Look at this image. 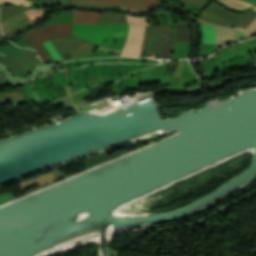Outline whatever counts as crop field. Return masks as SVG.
I'll use <instances>...</instances> for the list:
<instances>
[{
  "mask_svg": "<svg viewBox=\"0 0 256 256\" xmlns=\"http://www.w3.org/2000/svg\"><path fill=\"white\" fill-rule=\"evenodd\" d=\"M26 7L2 6L0 7V22L21 12L27 10Z\"/></svg>",
  "mask_w": 256,
  "mask_h": 256,
  "instance_id": "obj_13",
  "label": "crop field"
},
{
  "mask_svg": "<svg viewBox=\"0 0 256 256\" xmlns=\"http://www.w3.org/2000/svg\"><path fill=\"white\" fill-rule=\"evenodd\" d=\"M165 31H166L167 42H163L162 44L160 57H171L174 41H171L170 26H166ZM165 59H171V58H165Z\"/></svg>",
  "mask_w": 256,
  "mask_h": 256,
  "instance_id": "obj_12",
  "label": "crop field"
},
{
  "mask_svg": "<svg viewBox=\"0 0 256 256\" xmlns=\"http://www.w3.org/2000/svg\"><path fill=\"white\" fill-rule=\"evenodd\" d=\"M0 99L2 100L3 103H6V102L24 100L25 98L20 91H15V92L0 94Z\"/></svg>",
  "mask_w": 256,
  "mask_h": 256,
  "instance_id": "obj_17",
  "label": "crop field"
},
{
  "mask_svg": "<svg viewBox=\"0 0 256 256\" xmlns=\"http://www.w3.org/2000/svg\"><path fill=\"white\" fill-rule=\"evenodd\" d=\"M34 52V50L26 49L22 51L21 53L17 54L15 57H13L24 70H27L31 67H34L36 65L42 64L40 62L39 58L34 59L30 53Z\"/></svg>",
  "mask_w": 256,
  "mask_h": 256,
  "instance_id": "obj_9",
  "label": "crop field"
},
{
  "mask_svg": "<svg viewBox=\"0 0 256 256\" xmlns=\"http://www.w3.org/2000/svg\"><path fill=\"white\" fill-rule=\"evenodd\" d=\"M96 48L97 47H95L85 41L84 43H82L80 46H78L76 49H74L73 51H71L68 54H70L72 57L76 58V57L85 55L87 53L93 52V51H95Z\"/></svg>",
  "mask_w": 256,
  "mask_h": 256,
  "instance_id": "obj_14",
  "label": "crop field"
},
{
  "mask_svg": "<svg viewBox=\"0 0 256 256\" xmlns=\"http://www.w3.org/2000/svg\"><path fill=\"white\" fill-rule=\"evenodd\" d=\"M2 3H15L20 5H26L28 6L30 4V1L27 0H0Z\"/></svg>",
  "mask_w": 256,
  "mask_h": 256,
  "instance_id": "obj_23",
  "label": "crop field"
},
{
  "mask_svg": "<svg viewBox=\"0 0 256 256\" xmlns=\"http://www.w3.org/2000/svg\"><path fill=\"white\" fill-rule=\"evenodd\" d=\"M99 12L87 13L82 11L73 12V23H96Z\"/></svg>",
  "mask_w": 256,
  "mask_h": 256,
  "instance_id": "obj_10",
  "label": "crop field"
},
{
  "mask_svg": "<svg viewBox=\"0 0 256 256\" xmlns=\"http://www.w3.org/2000/svg\"><path fill=\"white\" fill-rule=\"evenodd\" d=\"M18 32H20V30L16 28V29H14L12 32H10L8 35H6L5 37L8 38V39H10V38H12L14 35H16Z\"/></svg>",
  "mask_w": 256,
  "mask_h": 256,
  "instance_id": "obj_24",
  "label": "crop field"
},
{
  "mask_svg": "<svg viewBox=\"0 0 256 256\" xmlns=\"http://www.w3.org/2000/svg\"><path fill=\"white\" fill-rule=\"evenodd\" d=\"M34 2H51V1H63V0H31Z\"/></svg>",
  "mask_w": 256,
  "mask_h": 256,
  "instance_id": "obj_25",
  "label": "crop field"
},
{
  "mask_svg": "<svg viewBox=\"0 0 256 256\" xmlns=\"http://www.w3.org/2000/svg\"><path fill=\"white\" fill-rule=\"evenodd\" d=\"M163 5L164 4L160 3L158 0H127L125 7L146 12L154 7L163 6ZM124 10L133 12V13H142V12L126 9V8Z\"/></svg>",
  "mask_w": 256,
  "mask_h": 256,
  "instance_id": "obj_8",
  "label": "crop field"
},
{
  "mask_svg": "<svg viewBox=\"0 0 256 256\" xmlns=\"http://www.w3.org/2000/svg\"><path fill=\"white\" fill-rule=\"evenodd\" d=\"M33 23L31 22L30 18L24 13H20L2 23H0L2 33L4 36L14 28H19L23 29L27 26L32 25Z\"/></svg>",
  "mask_w": 256,
  "mask_h": 256,
  "instance_id": "obj_6",
  "label": "crop field"
},
{
  "mask_svg": "<svg viewBox=\"0 0 256 256\" xmlns=\"http://www.w3.org/2000/svg\"><path fill=\"white\" fill-rule=\"evenodd\" d=\"M65 1H71V0H65Z\"/></svg>",
  "mask_w": 256,
  "mask_h": 256,
  "instance_id": "obj_30",
  "label": "crop field"
},
{
  "mask_svg": "<svg viewBox=\"0 0 256 256\" xmlns=\"http://www.w3.org/2000/svg\"><path fill=\"white\" fill-rule=\"evenodd\" d=\"M5 65L12 71L14 75L23 72V69L20 67V65L11 57L9 54L4 60H2ZM2 62V63H3ZM3 63V64H4ZM9 70V71H10ZM10 71V72H11Z\"/></svg>",
  "mask_w": 256,
  "mask_h": 256,
  "instance_id": "obj_18",
  "label": "crop field"
},
{
  "mask_svg": "<svg viewBox=\"0 0 256 256\" xmlns=\"http://www.w3.org/2000/svg\"><path fill=\"white\" fill-rule=\"evenodd\" d=\"M71 27L72 24L55 23L45 28L33 30L23 35L22 37L34 48V50L37 51L39 57L43 61H52L41 46L40 42L59 36L69 35L71 34ZM83 41L84 40L75 38L71 35L51 39V42L53 43L61 57L70 52ZM51 42L50 40H48L46 42H43V44L53 56L55 61L63 60Z\"/></svg>",
  "mask_w": 256,
  "mask_h": 256,
  "instance_id": "obj_1",
  "label": "crop field"
},
{
  "mask_svg": "<svg viewBox=\"0 0 256 256\" xmlns=\"http://www.w3.org/2000/svg\"><path fill=\"white\" fill-rule=\"evenodd\" d=\"M145 27L139 25H129V35L122 48L121 55L129 57H139Z\"/></svg>",
  "mask_w": 256,
  "mask_h": 256,
  "instance_id": "obj_4",
  "label": "crop field"
},
{
  "mask_svg": "<svg viewBox=\"0 0 256 256\" xmlns=\"http://www.w3.org/2000/svg\"><path fill=\"white\" fill-rule=\"evenodd\" d=\"M127 16V21L128 23H135V24H144V25H148L147 20L145 17L143 18H137V17H133V16Z\"/></svg>",
  "mask_w": 256,
  "mask_h": 256,
  "instance_id": "obj_22",
  "label": "crop field"
},
{
  "mask_svg": "<svg viewBox=\"0 0 256 256\" xmlns=\"http://www.w3.org/2000/svg\"><path fill=\"white\" fill-rule=\"evenodd\" d=\"M97 23H125V15L121 14H110V13H101Z\"/></svg>",
  "mask_w": 256,
  "mask_h": 256,
  "instance_id": "obj_11",
  "label": "crop field"
},
{
  "mask_svg": "<svg viewBox=\"0 0 256 256\" xmlns=\"http://www.w3.org/2000/svg\"><path fill=\"white\" fill-rule=\"evenodd\" d=\"M197 21L205 24H210L207 22L200 21L198 19ZM210 25H214V24H210ZM215 40H216V45H215L216 49H218L221 46L233 43L234 29L215 25Z\"/></svg>",
  "mask_w": 256,
  "mask_h": 256,
  "instance_id": "obj_7",
  "label": "crop field"
},
{
  "mask_svg": "<svg viewBox=\"0 0 256 256\" xmlns=\"http://www.w3.org/2000/svg\"><path fill=\"white\" fill-rule=\"evenodd\" d=\"M175 40L185 41L191 43V35L185 23H178L177 34Z\"/></svg>",
  "mask_w": 256,
  "mask_h": 256,
  "instance_id": "obj_16",
  "label": "crop field"
},
{
  "mask_svg": "<svg viewBox=\"0 0 256 256\" xmlns=\"http://www.w3.org/2000/svg\"><path fill=\"white\" fill-rule=\"evenodd\" d=\"M64 7H94V8H107L106 6L92 5V4H63L60 7L56 8H64Z\"/></svg>",
  "mask_w": 256,
  "mask_h": 256,
  "instance_id": "obj_21",
  "label": "crop field"
},
{
  "mask_svg": "<svg viewBox=\"0 0 256 256\" xmlns=\"http://www.w3.org/2000/svg\"><path fill=\"white\" fill-rule=\"evenodd\" d=\"M3 58H4V57H1V56H0V61H1Z\"/></svg>",
  "mask_w": 256,
  "mask_h": 256,
  "instance_id": "obj_28",
  "label": "crop field"
},
{
  "mask_svg": "<svg viewBox=\"0 0 256 256\" xmlns=\"http://www.w3.org/2000/svg\"><path fill=\"white\" fill-rule=\"evenodd\" d=\"M208 1H210V0H179L180 3L189 5L198 10H200V8Z\"/></svg>",
  "mask_w": 256,
  "mask_h": 256,
  "instance_id": "obj_20",
  "label": "crop field"
},
{
  "mask_svg": "<svg viewBox=\"0 0 256 256\" xmlns=\"http://www.w3.org/2000/svg\"><path fill=\"white\" fill-rule=\"evenodd\" d=\"M164 27L165 25L146 27V33L141 50L142 53H154L158 54L159 56L163 39Z\"/></svg>",
  "mask_w": 256,
  "mask_h": 256,
  "instance_id": "obj_5",
  "label": "crop field"
},
{
  "mask_svg": "<svg viewBox=\"0 0 256 256\" xmlns=\"http://www.w3.org/2000/svg\"><path fill=\"white\" fill-rule=\"evenodd\" d=\"M5 80H7V79L0 73V82H3Z\"/></svg>",
  "mask_w": 256,
  "mask_h": 256,
  "instance_id": "obj_26",
  "label": "crop field"
},
{
  "mask_svg": "<svg viewBox=\"0 0 256 256\" xmlns=\"http://www.w3.org/2000/svg\"><path fill=\"white\" fill-rule=\"evenodd\" d=\"M3 36H2V34H1V32H0V38H2Z\"/></svg>",
  "mask_w": 256,
  "mask_h": 256,
  "instance_id": "obj_29",
  "label": "crop field"
},
{
  "mask_svg": "<svg viewBox=\"0 0 256 256\" xmlns=\"http://www.w3.org/2000/svg\"><path fill=\"white\" fill-rule=\"evenodd\" d=\"M36 92H37V94H38V96H39V98H40L41 102H42V103H44V101H43V99H42V97H41V95H40L39 91H36Z\"/></svg>",
  "mask_w": 256,
  "mask_h": 256,
  "instance_id": "obj_27",
  "label": "crop field"
},
{
  "mask_svg": "<svg viewBox=\"0 0 256 256\" xmlns=\"http://www.w3.org/2000/svg\"><path fill=\"white\" fill-rule=\"evenodd\" d=\"M202 44H215L214 26L202 24Z\"/></svg>",
  "mask_w": 256,
  "mask_h": 256,
  "instance_id": "obj_15",
  "label": "crop field"
},
{
  "mask_svg": "<svg viewBox=\"0 0 256 256\" xmlns=\"http://www.w3.org/2000/svg\"><path fill=\"white\" fill-rule=\"evenodd\" d=\"M127 30L128 26L123 24H73L72 35L98 46L105 36L125 38Z\"/></svg>",
  "mask_w": 256,
  "mask_h": 256,
  "instance_id": "obj_2",
  "label": "crop field"
},
{
  "mask_svg": "<svg viewBox=\"0 0 256 256\" xmlns=\"http://www.w3.org/2000/svg\"><path fill=\"white\" fill-rule=\"evenodd\" d=\"M240 18L241 16L237 14L229 13L215 4H212L210 7H208L198 17V19L200 20L211 22L214 24L222 25V26H228V27H231Z\"/></svg>",
  "mask_w": 256,
  "mask_h": 256,
  "instance_id": "obj_3",
  "label": "crop field"
},
{
  "mask_svg": "<svg viewBox=\"0 0 256 256\" xmlns=\"http://www.w3.org/2000/svg\"><path fill=\"white\" fill-rule=\"evenodd\" d=\"M74 2H90L120 7L125 0H73Z\"/></svg>",
  "mask_w": 256,
  "mask_h": 256,
  "instance_id": "obj_19",
  "label": "crop field"
}]
</instances>
